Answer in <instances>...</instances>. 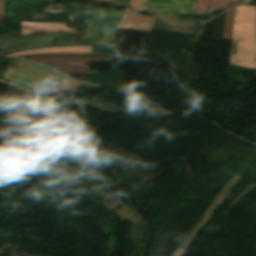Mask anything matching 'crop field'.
Returning a JSON list of instances; mask_svg holds the SVG:
<instances>
[{"mask_svg":"<svg viewBox=\"0 0 256 256\" xmlns=\"http://www.w3.org/2000/svg\"><path fill=\"white\" fill-rule=\"evenodd\" d=\"M238 0H229L228 7L237 4Z\"/></svg>","mask_w":256,"mask_h":256,"instance_id":"24","label":"crop field"},{"mask_svg":"<svg viewBox=\"0 0 256 256\" xmlns=\"http://www.w3.org/2000/svg\"><path fill=\"white\" fill-rule=\"evenodd\" d=\"M95 1L114 2L115 0H95Z\"/></svg>","mask_w":256,"mask_h":256,"instance_id":"25","label":"crop field"},{"mask_svg":"<svg viewBox=\"0 0 256 256\" xmlns=\"http://www.w3.org/2000/svg\"><path fill=\"white\" fill-rule=\"evenodd\" d=\"M227 4L228 0H211L209 12H211L214 9L225 8L227 7Z\"/></svg>","mask_w":256,"mask_h":256,"instance_id":"17","label":"crop field"},{"mask_svg":"<svg viewBox=\"0 0 256 256\" xmlns=\"http://www.w3.org/2000/svg\"><path fill=\"white\" fill-rule=\"evenodd\" d=\"M50 9H61V11H52ZM92 9L43 1H7L5 16H20V13L66 12L70 21L88 23Z\"/></svg>","mask_w":256,"mask_h":256,"instance_id":"2","label":"crop field"},{"mask_svg":"<svg viewBox=\"0 0 256 256\" xmlns=\"http://www.w3.org/2000/svg\"><path fill=\"white\" fill-rule=\"evenodd\" d=\"M52 74L54 72L42 66L24 61H8V67L2 79L34 90Z\"/></svg>","mask_w":256,"mask_h":256,"instance_id":"4","label":"crop field"},{"mask_svg":"<svg viewBox=\"0 0 256 256\" xmlns=\"http://www.w3.org/2000/svg\"><path fill=\"white\" fill-rule=\"evenodd\" d=\"M230 63L256 69V7H236Z\"/></svg>","mask_w":256,"mask_h":256,"instance_id":"1","label":"crop field"},{"mask_svg":"<svg viewBox=\"0 0 256 256\" xmlns=\"http://www.w3.org/2000/svg\"><path fill=\"white\" fill-rule=\"evenodd\" d=\"M143 0H133L131 3H130V7L135 9V10H139L141 4H142Z\"/></svg>","mask_w":256,"mask_h":256,"instance_id":"21","label":"crop field"},{"mask_svg":"<svg viewBox=\"0 0 256 256\" xmlns=\"http://www.w3.org/2000/svg\"><path fill=\"white\" fill-rule=\"evenodd\" d=\"M196 0H145L141 9L161 14H194Z\"/></svg>","mask_w":256,"mask_h":256,"instance_id":"5","label":"crop field"},{"mask_svg":"<svg viewBox=\"0 0 256 256\" xmlns=\"http://www.w3.org/2000/svg\"><path fill=\"white\" fill-rule=\"evenodd\" d=\"M46 64L61 72L79 71L85 72L88 66H84V61H105L111 59H89V58H41L29 59ZM60 66V68L58 67Z\"/></svg>","mask_w":256,"mask_h":256,"instance_id":"7","label":"crop field"},{"mask_svg":"<svg viewBox=\"0 0 256 256\" xmlns=\"http://www.w3.org/2000/svg\"><path fill=\"white\" fill-rule=\"evenodd\" d=\"M209 0H197L196 14L208 13Z\"/></svg>","mask_w":256,"mask_h":256,"instance_id":"15","label":"crop field"},{"mask_svg":"<svg viewBox=\"0 0 256 256\" xmlns=\"http://www.w3.org/2000/svg\"><path fill=\"white\" fill-rule=\"evenodd\" d=\"M123 13L94 8L82 42L112 44L114 29Z\"/></svg>","mask_w":256,"mask_h":256,"instance_id":"3","label":"crop field"},{"mask_svg":"<svg viewBox=\"0 0 256 256\" xmlns=\"http://www.w3.org/2000/svg\"><path fill=\"white\" fill-rule=\"evenodd\" d=\"M44 52H91V46H73V47H64V48L25 51V52L9 54V56H17V55H25V54H33V53H44Z\"/></svg>","mask_w":256,"mask_h":256,"instance_id":"11","label":"crop field"},{"mask_svg":"<svg viewBox=\"0 0 256 256\" xmlns=\"http://www.w3.org/2000/svg\"><path fill=\"white\" fill-rule=\"evenodd\" d=\"M52 54L103 55L101 53H45V54H33V55H52ZM33 55H26V56H33Z\"/></svg>","mask_w":256,"mask_h":256,"instance_id":"18","label":"crop field"},{"mask_svg":"<svg viewBox=\"0 0 256 256\" xmlns=\"http://www.w3.org/2000/svg\"><path fill=\"white\" fill-rule=\"evenodd\" d=\"M152 27L188 33H193V31L196 30V34H199L200 31V24L197 21L174 20V17H169L167 19L166 17L157 16Z\"/></svg>","mask_w":256,"mask_h":256,"instance_id":"8","label":"crop field"},{"mask_svg":"<svg viewBox=\"0 0 256 256\" xmlns=\"http://www.w3.org/2000/svg\"><path fill=\"white\" fill-rule=\"evenodd\" d=\"M63 75L58 73L52 75L48 80L41 84L37 89L34 90L33 94L41 97L43 96L54 84H56Z\"/></svg>","mask_w":256,"mask_h":256,"instance_id":"12","label":"crop field"},{"mask_svg":"<svg viewBox=\"0 0 256 256\" xmlns=\"http://www.w3.org/2000/svg\"><path fill=\"white\" fill-rule=\"evenodd\" d=\"M22 26H35V27H22V34L33 33L35 31H72L71 29H68L64 24L22 22Z\"/></svg>","mask_w":256,"mask_h":256,"instance_id":"10","label":"crop field"},{"mask_svg":"<svg viewBox=\"0 0 256 256\" xmlns=\"http://www.w3.org/2000/svg\"><path fill=\"white\" fill-rule=\"evenodd\" d=\"M7 59L8 58L0 57V64L7 65Z\"/></svg>","mask_w":256,"mask_h":256,"instance_id":"23","label":"crop field"},{"mask_svg":"<svg viewBox=\"0 0 256 256\" xmlns=\"http://www.w3.org/2000/svg\"><path fill=\"white\" fill-rule=\"evenodd\" d=\"M234 10H235V7L227 11L223 40H231Z\"/></svg>","mask_w":256,"mask_h":256,"instance_id":"14","label":"crop field"},{"mask_svg":"<svg viewBox=\"0 0 256 256\" xmlns=\"http://www.w3.org/2000/svg\"><path fill=\"white\" fill-rule=\"evenodd\" d=\"M41 57H89V58H118L116 56H76V55H53V56H33L19 58H41Z\"/></svg>","mask_w":256,"mask_h":256,"instance_id":"16","label":"crop field"},{"mask_svg":"<svg viewBox=\"0 0 256 256\" xmlns=\"http://www.w3.org/2000/svg\"><path fill=\"white\" fill-rule=\"evenodd\" d=\"M156 16H143L134 11L126 12L119 28L148 31Z\"/></svg>","mask_w":256,"mask_h":256,"instance_id":"9","label":"crop field"},{"mask_svg":"<svg viewBox=\"0 0 256 256\" xmlns=\"http://www.w3.org/2000/svg\"><path fill=\"white\" fill-rule=\"evenodd\" d=\"M4 8H5V1H0V25H3V21H4Z\"/></svg>","mask_w":256,"mask_h":256,"instance_id":"20","label":"crop field"},{"mask_svg":"<svg viewBox=\"0 0 256 256\" xmlns=\"http://www.w3.org/2000/svg\"><path fill=\"white\" fill-rule=\"evenodd\" d=\"M54 1H63L71 4L86 5V6H90L91 4V3L79 2V0H54ZM86 1H91V0H86Z\"/></svg>","mask_w":256,"mask_h":256,"instance_id":"19","label":"crop field"},{"mask_svg":"<svg viewBox=\"0 0 256 256\" xmlns=\"http://www.w3.org/2000/svg\"><path fill=\"white\" fill-rule=\"evenodd\" d=\"M81 87L100 89V87H99V86L86 85V84H82V85H81Z\"/></svg>","mask_w":256,"mask_h":256,"instance_id":"22","label":"crop field"},{"mask_svg":"<svg viewBox=\"0 0 256 256\" xmlns=\"http://www.w3.org/2000/svg\"><path fill=\"white\" fill-rule=\"evenodd\" d=\"M53 44L51 38L0 35V53L13 49Z\"/></svg>","mask_w":256,"mask_h":256,"instance_id":"6","label":"crop field"},{"mask_svg":"<svg viewBox=\"0 0 256 256\" xmlns=\"http://www.w3.org/2000/svg\"><path fill=\"white\" fill-rule=\"evenodd\" d=\"M48 1H53V0H48Z\"/></svg>","mask_w":256,"mask_h":256,"instance_id":"26","label":"crop field"},{"mask_svg":"<svg viewBox=\"0 0 256 256\" xmlns=\"http://www.w3.org/2000/svg\"><path fill=\"white\" fill-rule=\"evenodd\" d=\"M127 99L132 100V101H134V102H136V103H138L140 105H143V106H145V107L155 111L156 113H158V114H160V115H162L164 117L172 115L170 112H168L167 110L163 109L162 107L156 106L154 104H151V103H149V102H147V101H145V100H143V99H141L139 97L133 96V97H130V98H127Z\"/></svg>","mask_w":256,"mask_h":256,"instance_id":"13","label":"crop field"}]
</instances>
